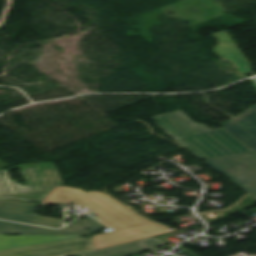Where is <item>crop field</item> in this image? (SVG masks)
<instances>
[{
  "label": "crop field",
  "mask_w": 256,
  "mask_h": 256,
  "mask_svg": "<svg viewBox=\"0 0 256 256\" xmlns=\"http://www.w3.org/2000/svg\"><path fill=\"white\" fill-rule=\"evenodd\" d=\"M43 203H75L95 211L94 218L116 230L95 236L96 249L171 232L147 220L103 192H85L60 186L53 190Z\"/></svg>",
  "instance_id": "crop-field-1"
},
{
  "label": "crop field",
  "mask_w": 256,
  "mask_h": 256,
  "mask_svg": "<svg viewBox=\"0 0 256 256\" xmlns=\"http://www.w3.org/2000/svg\"><path fill=\"white\" fill-rule=\"evenodd\" d=\"M152 119L172 138L189 135L190 137L178 142L201 160L251 152L223 128L204 132L181 111Z\"/></svg>",
  "instance_id": "crop-field-2"
},
{
  "label": "crop field",
  "mask_w": 256,
  "mask_h": 256,
  "mask_svg": "<svg viewBox=\"0 0 256 256\" xmlns=\"http://www.w3.org/2000/svg\"><path fill=\"white\" fill-rule=\"evenodd\" d=\"M20 168L27 186L21 187L16 180H11L8 171ZM0 174V204L5 198L42 202L57 186L62 185L54 163L24 164L1 170Z\"/></svg>",
  "instance_id": "crop-field-3"
},
{
  "label": "crop field",
  "mask_w": 256,
  "mask_h": 256,
  "mask_svg": "<svg viewBox=\"0 0 256 256\" xmlns=\"http://www.w3.org/2000/svg\"><path fill=\"white\" fill-rule=\"evenodd\" d=\"M204 163L216 172L224 174L256 198V155L254 153L206 160Z\"/></svg>",
  "instance_id": "crop-field-4"
},
{
  "label": "crop field",
  "mask_w": 256,
  "mask_h": 256,
  "mask_svg": "<svg viewBox=\"0 0 256 256\" xmlns=\"http://www.w3.org/2000/svg\"><path fill=\"white\" fill-rule=\"evenodd\" d=\"M95 249L93 238H81L0 251V256H67Z\"/></svg>",
  "instance_id": "crop-field-5"
},
{
  "label": "crop field",
  "mask_w": 256,
  "mask_h": 256,
  "mask_svg": "<svg viewBox=\"0 0 256 256\" xmlns=\"http://www.w3.org/2000/svg\"><path fill=\"white\" fill-rule=\"evenodd\" d=\"M106 226L87 217L77 219L61 231L43 229L0 221V234H54V235H88ZM91 228L90 231H87Z\"/></svg>",
  "instance_id": "crop-field-6"
},
{
  "label": "crop field",
  "mask_w": 256,
  "mask_h": 256,
  "mask_svg": "<svg viewBox=\"0 0 256 256\" xmlns=\"http://www.w3.org/2000/svg\"><path fill=\"white\" fill-rule=\"evenodd\" d=\"M38 204L5 199L0 205V219L60 228L63 225L61 220L36 216L35 210Z\"/></svg>",
  "instance_id": "crop-field-7"
},
{
  "label": "crop field",
  "mask_w": 256,
  "mask_h": 256,
  "mask_svg": "<svg viewBox=\"0 0 256 256\" xmlns=\"http://www.w3.org/2000/svg\"><path fill=\"white\" fill-rule=\"evenodd\" d=\"M224 129L256 154V105L224 124Z\"/></svg>",
  "instance_id": "crop-field-8"
},
{
  "label": "crop field",
  "mask_w": 256,
  "mask_h": 256,
  "mask_svg": "<svg viewBox=\"0 0 256 256\" xmlns=\"http://www.w3.org/2000/svg\"><path fill=\"white\" fill-rule=\"evenodd\" d=\"M216 40L221 41L214 47L213 51L220 55L225 61L233 63L242 77H245L246 73L251 72V66L248 59L242 53V51L231 40L226 31L213 34Z\"/></svg>",
  "instance_id": "crop-field-9"
},
{
  "label": "crop field",
  "mask_w": 256,
  "mask_h": 256,
  "mask_svg": "<svg viewBox=\"0 0 256 256\" xmlns=\"http://www.w3.org/2000/svg\"><path fill=\"white\" fill-rule=\"evenodd\" d=\"M84 236H54V235H0V250L30 246L42 243L74 239Z\"/></svg>",
  "instance_id": "crop-field-10"
},
{
  "label": "crop field",
  "mask_w": 256,
  "mask_h": 256,
  "mask_svg": "<svg viewBox=\"0 0 256 256\" xmlns=\"http://www.w3.org/2000/svg\"><path fill=\"white\" fill-rule=\"evenodd\" d=\"M168 244L162 240H159L155 237L143 239L119 246H114L102 250H98L97 252L100 253L102 256H126L135 252H139L148 248L160 246Z\"/></svg>",
  "instance_id": "crop-field-11"
},
{
  "label": "crop field",
  "mask_w": 256,
  "mask_h": 256,
  "mask_svg": "<svg viewBox=\"0 0 256 256\" xmlns=\"http://www.w3.org/2000/svg\"><path fill=\"white\" fill-rule=\"evenodd\" d=\"M80 256H101V255L98 254L96 251H93V252L81 254Z\"/></svg>",
  "instance_id": "crop-field-12"
},
{
  "label": "crop field",
  "mask_w": 256,
  "mask_h": 256,
  "mask_svg": "<svg viewBox=\"0 0 256 256\" xmlns=\"http://www.w3.org/2000/svg\"><path fill=\"white\" fill-rule=\"evenodd\" d=\"M6 167H9L7 164H5L3 161L0 160V170L4 169Z\"/></svg>",
  "instance_id": "crop-field-13"
},
{
  "label": "crop field",
  "mask_w": 256,
  "mask_h": 256,
  "mask_svg": "<svg viewBox=\"0 0 256 256\" xmlns=\"http://www.w3.org/2000/svg\"><path fill=\"white\" fill-rule=\"evenodd\" d=\"M251 82H252V84H253L254 88L256 89V84H255V82H254V80H253V79L251 80Z\"/></svg>",
  "instance_id": "crop-field-14"
},
{
  "label": "crop field",
  "mask_w": 256,
  "mask_h": 256,
  "mask_svg": "<svg viewBox=\"0 0 256 256\" xmlns=\"http://www.w3.org/2000/svg\"><path fill=\"white\" fill-rule=\"evenodd\" d=\"M186 137H188V136H186ZM186 137H183V138H186ZM183 138H180V139H183ZM180 139H175V140L178 141V140H180Z\"/></svg>",
  "instance_id": "crop-field-15"
}]
</instances>
